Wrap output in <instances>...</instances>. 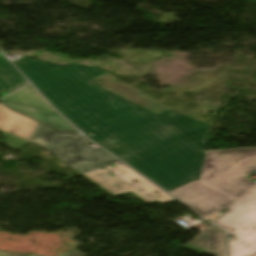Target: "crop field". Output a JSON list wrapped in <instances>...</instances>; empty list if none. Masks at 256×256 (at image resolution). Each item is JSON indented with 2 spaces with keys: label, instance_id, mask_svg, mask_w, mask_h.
Returning a JSON list of instances; mask_svg holds the SVG:
<instances>
[{
  "label": "crop field",
  "instance_id": "obj_1",
  "mask_svg": "<svg viewBox=\"0 0 256 256\" xmlns=\"http://www.w3.org/2000/svg\"><path fill=\"white\" fill-rule=\"evenodd\" d=\"M56 109L168 191L199 178L208 141L199 121L173 110L156 115L108 91Z\"/></svg>",
  "mask_w": 256,
  "mask_h": 256
},
{
  "label": "crop field",
  "instance_id": "obj_2",
  "mask_svg": "<svg viewBox=\"0 0 256 256\" xmlns=\"http://www.w3.org/2000/svg\"><path fill=\"white\" fill-rule=\"evenodd\" d=\"M13 62L55 107L96 92L85 82L106 73L97 67H62L25 57Z\"/></svg>",
  "mask_w": 256,
  "mask_h": 256
},
{
  "label": "crop field",
  "instance_id": "obj_3",
  "mask_svg": "<svg viewBox=\"0 0 256 256\" xmlns=\"http://www.w3.org/2000/svg\"><path fill=\"white\" fill-rule=\"evenodd\" d=\"M256 169V147L207 151L200 182L235 199L256 182L246 178Z\"/></svg>",
  "mask_w": 256,
  "mask_h": 256
},
{
  "label": "crop field",
  "instance_id": "obj_4",
  "mask_svg": "<svg viewBox=\"0 0 256 256\" xmlns=\"http://www.w3.org/2000/svg\"><path fill=\"white\" fill-rule=\"evenodd\" d=\"M29 142L44 147L81 175L117 160L100 148L93 149L88 145L91 142L77 132L56 131L42 123Z\"/></svg>",
  "mask_w": 256,
  "mask_h": 256
},
{
  "label": "crop field",
  "instance_id": "obj_5",
  "mask_svg": "<svg viewBox=\"0 0 256 256\" xmlns=\"http://www.w3.org/2000/svg\"><path fill=\"white\" fill-rule=\"evenodd\" d=\"M83 177L114 197L130 193L146 204L175 201L171 196L123 164L111 163L87 173Z\"/></svg>",
  "mask_w": 256,
  "mask_h": 256
},
{
  "label": "crop field",
  "instance_id": "obj_6",
  "mask_svg": "<svg viewBox=\"0 0 256 256\" xmlns=\"http://www.w3.org/2000/svg\"><path fill=\"white\" fill-rule=\"evenodd\" d=\"M210 224L239 238L229 242L230 256H256V187Z\"/></svg>",
  "mask_w": 256,
  "mask_h": 256
},
{
  "label": "crop field",
  "instance_id": "obj_7",
  "mask_svg": "<svg viewBox=\"0 0 256 256\" xmlns=\"http://www.w3.org/2000/svg\"><path fill=\"white\" fill-rule=\"evenodd\" d=\"M3 100L6 105L13 109L48 123L57 129L75 130L45 102L30 84L25 85Z\"/></svg>",
  "mask_w": 256,
  "mask_h": 256
},
{
  "label": "crop field",
  "instance_id": "obj_8",
  "mask_svg": "<svg viewBox=\"0 0 256 256\" xmlns=\"http://www.w3.org/2000/svg\"><path fill=\"white\" fill-rule=\"evenodd\" d=\"M170 193L194 209L201 217L214 214L235 201L198 181Z\"/></svg>",
  "mask_w": 256,
  "mask_h": 256
},
{
  "label": "crop field",
  "instance_id": "obj_9",
  "mask_svg": "<svg viewBox=\"0 0 256 256\" xmlns=\"http://www.w3.org/2000/svg\"><path fill=\"white\" fill-rule=\"evenodd\" d=\"M39 122L15 113L0 103V133L11 149H23Z\"/></svg>",
  "mask_w": 256,
  "mask_h": 256
},
{
  "label": "crop field",
  "instance_id": "obj_10",
  "mask_svg": "<svg viewBox=\"0 0 256 256\" xmlns=\"http://www.w3.org/2000/svg\"><path fill=\"white\" fill-rule=\"evenodd\" d=\"M115 77L111 74L107 73L95 80L87 82L93 85V89L99 91L100 93L109 90L123 98H128L130 101L156 113L159 114L163 111H166L170 108L160 104L159 102L153 100L152 98L146 96L142 97L139 94L141 92L129 87L128 85L124 84H115Z\"/></svg>",
  "mask_w": 256,
  "mask_h": 256
},
{
  "label": "crop field",
  "instance_id": "obj_11",
  "mask_svg": "<svg viewBox=\"0 0 256 256\" xmlns=\"http://www.w3.org/2000/svg\"><path fill=\"white\" fill-rule=\"evenodd\" d=\"M183 247L198 254L226 256L225 234L208 225Z\"/></svg>",
  "mask_w": 256,
  "mask_h": 256
},
{
  "label": "crop field",
  "instance_id": "obj_12",
  "mask_svg": "<svg viewBox=\"0 0 256 256\" xmlns=\"http://www.w3.org/2000/svg\"><path fill=\"white\" fill-rule=\"evenodd\" d=\"M26 80L0 53V92H11Z\"/></svg>",
  "mask_w": 256,
  "mask_h": 256
},
{
  "label": "crop field",
  "instance_id": "obj_13",
  "mask_svg": "<svg viewBox=\"0 0 256 256\" xmlns=\"http://www.w3.org/2000/svg\"><path fill=\"white\" fill-rule=\"evenodd\" d=\"M0 256H39V255H29V254H20V253H10L0 250ZM59 256H86L85 254L73 249Z\"/></svg>",
  "mask_w": 256,
  "mask_h": 256
},
{
  "label": "crop field",
  "instance_id": "obj_14",
  "mask_svg": "<svg viewBox=\"0 0 256 256\" xmlns=\"http://www.w3.org/2000/svg\"><path fill=\"white\" fill-rule=\"evenodd\" d=\"M223 212H220V213H218V214H216V215H214V216H211V217H209V218H207V219H205V220H207L209 223L210 222H212L214 219H216L220 214H222Z\"/></svg>",
  "mask_w": 256,
  "mask_h": 256
}]
</instances>
